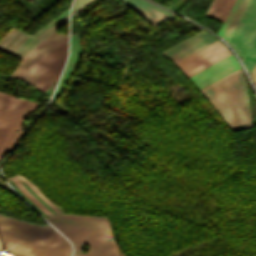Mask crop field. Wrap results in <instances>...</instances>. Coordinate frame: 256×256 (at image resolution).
<instances>
[{
    "mask_svg": "<svg viewBox=\"0 0 256 256\" xmlns=\"http://www.w3.org/2000/svg\"><path fill=\"white\" fill-rule=\"evenodd\" d=\"M47 220L73 242L75 251L81 252L83 245H90L87 254L73 256H123L105 217L61 215Z\"/></svg>",
    "mask_w": 256,
    "mask_h": 256,
    "instance_id": "8a807250",
    "label": "crop field"
},
{
    "mask_svg": "<svg viewBox=\"0 0 256 256\" xmlns=\"http://www.w3.org/2000/svg\"><path fill=\"white\" fill-rule=\"evenodd\" d=\"M231 131L253 127L240 70L200 90Z\"/></svg>",
    "mask_w": 256,
    "mask_h": 256,
    "instance_id": "ac0d7876",
    "label": "crop field"
},
{
    "mask_svg": "<svg viewBox=\"0 0 256 256\" xmlns=\"http://www.w3.org/2000/svg\"><path fill=\"white\" fill-rule=\"evenodd\" d=\"M38 106L36 102L0 93V160L22 135L19 127L25 115Z\"/></svg>",
    "mask_w": 256,
    "mask_h": 256,
    "instance_id": "34b2d1b8",
    "label": "crop field"
},
{
    "mask_svg": "<svg viewBox=\"0 0 256 256\" xmlns=\"http://www.w3.org/2000/svg\"><path fill=\"white\" fill-rule=\"evenodd\" d=\"M67 36L56 32L43 40L26 58L23 59L20 66L14 71L11 77L31 83L47 68L38 63L49 54L60 42Z\"/></svg>",
    "mask_w": 256,
    "mask_h": 256,
    "instance_id": "412701ff",
    "label": "crop field"
},
{
    "mask_svg": "<svg viewBox=\"0 0 256 256\" xmlns=\"http://www.w3.org/2000/svg\"><path fill=\"white\" fill-rule=\"evenodd\" d=\"M229 54L231 53L217 41L175 64L188 78Z\"/></svg>",
    "mask_w": 256,
    "mask_h": 256,
    "instance_id": "f4fd0767",
    "label": "crop field"
},
{
    "mask_svg": "<svg viewBox=\"0 0 256 256\" xmlns=\"http://www.w3.org/2000/svg\"><path fill=\"white\" fill-rule=\"evenodd\" d=\"M255 36L256 0H251L228 42L243 59Z\"/></svg>",
    "mask_w": 256,
    "mask_h": 256,
    "instance_id": "dd49c442",
    "label": "crop field"
},
{
    "mask_svg": "<svg viewBox=\"0 0 256 256\" xmlns=\"http://www.w3.org/2000/svg\"><path fill=\"white\" fill-rule=\"evenodd\" d=\"M238 68L231 54L188 79L200 90Z\"/></svg>",
    "mask_w": 256,
    "mask_h": 256,
    "instance_id": "e52e79f7",
    "label": "crop field"
},
{
    "mask_svg": "<svg viewBox=\"0 0 256 256\" xmlns=\"http://www.w3.org/2000/svg\"><path fill=\"white\" fill-rule=\"evenodd\" d=\"M67 53V38L59 44L47 57L41 62L49 65L50 67L39 76L33 83L46 89L54 81L58 79L59 73L64 65ZM61 74V73H60Z\"/></svg>",
    "mask_w": 256,
    "mask_h": 256,
    "instance_id": "d8731c3e",
    "label": "crop field"
},
{
    "mask_svg": "<svg viewBox=\"0 0 256 256\" xmlns=\"http://www.w3.org/2000/svg\"><path fill=\"white\" fill-rule=\"evenodd\" d=\"M10 184L42 216L57 210L27 181L22 178L10 181Z\"/></svg>",
    "mask_w": 256,
    "mask_h": 256,
    "instance_id": "5a996713",
    "label": "crop field"
},
{
    "mask_svg": "<svg viewBox=\"0 0 256 256\" xmlns=\"http://www.w3.org/2000/svg\"><path fill=\"white\" fill-rule=\"evenodd\" d=\"M215 41L217 40L201 31L161 54L175 63Z\"/></svg>",
    "mask_w": 256,
    "mask_h": 256,
    "instance_id": "3316defc",
    "label": "crop field"
},
{
    "mask_svg": "<svg viewBox=\"0 0 256 256\" xmlns=\"http://www.w3.org/2000/svg\"><path fill=\"white\" fill-rule=\"evenodd\" d=\"M154 26L172 18L173 14L152 6L143 0H121Z\"/></svg>",
    "mask_w": 256,
    "mask_h": 256,
    "instance_id": "28ad6ade",
    "label": "crop field"
},
{
    "mask_svg": "<svg viewBox=\"0 0 256 256\" xmlns=\"http://www.w3.org/2000/svg\"><path fill=\"white\" fill-rule=\"evenodd\" d=\"M68 10H65L62 14H60L55 20L49 23L46 27H44L39 32L35 33L33 36L27 35L11 52L10 54L17 56L23 59L26 55H28L42 40L37 37L57 23L59 20L68 15Z\"/></svg>",
    "mask_w": 256,
    "mask_h": 256,
    "instance_id": "d1516ede",
    "label": "crop field"
},
{
    "mask_svg": "<svg viewBox=\"0 0 256 256\" xmlns=\"http://www.w3.org/2000/svg\"><path fill=\"white\" fill-rule=\"evenodd\" d=\"M250 0H236L234 6L232 7L229 15L227 16L225 22L220 28L218 34H220L227 41L233 32L236 24L238 23L241 15L243 14L245 8L247 7Z\"/></svg>",
    "mask_w": 256,
    "mask_h": 256,
    "instance_id": "22f410ed",
    "label": "crop field"
},
{
    "mask_svg": "<svg viewBox=\"0 0 256 256\" xmlns=\"http://www.w3.org/2000/svg\"><path fill=\"white\" fill-rule=\"evenodd\" d=\"M235 0H213L206 15L224 22Z\"/></svg>",
    "mask_w": 256,
    "mask_h": 256,
    "instance_id": "cbeb9de0",
    "label": "crop field"
},
{
    "mask_svg": "<svg viewBox=\"0 0 256 256\" xmlns=\"http://www.w3.org/2000/svg\"><path fill=\"white\" fill-rule=\"evenodd\" d=\"M243 60L252 74L256 66V37Z\"/></svg>",
    "mask_w": 256,
    "mask_h": 256,
    "instance_id": "5142ce71",
    "label": "crop field"
},
{
    "mask_svg": "<svg viewBox=\"0 0 256 256\" xmlns=\"http://www.w3.org/2000/svg\"><path fill=\"white\" fill-rule=\"evenodd\" d=\"M92 0H75L73 3V16L78 15Z\"/></svg>",
    "mask_w": 256,
    "mask_h": 256,
    "instance_id": "d9b57169",
    "label": "crop field"
},
{
    "mask_svg": "<svg viewBox=\"0 0 256 256\" xmlns=\"http://www.w3.org/2000/svg\"><path fill=\"white\" fill-rule=\"evenodd\" d=\"M19 30L12 28L0 39V49L5 46L17 33Z\"/></svg>",
    "mask_w": 256,
    "mask_h": 256,
    "instance_id": "733c2abd",
    "label": "crop field"
},
{
    "mask_svg": "<svg viewBox=\"0 0 256 256\" xmlns=\"http://www.w3.org/2000/svg\"><path fill=\"white\" fill-rule=\"evenodd\" d=\"M67 21H68V16H66L64 19L59 21L57 24H55L53 27H51L49 30H47L45 33H43L38 38L43 40L44 38H46L48 35H50L52 32H54L56 29H58L61 25H63Z\"/></svg>",
    "mask_w": 256,
    "mask_h": 256,
    "instance_id": "4a817a6b",
    "label": "crop field"
},
{
    "mask_svg": "<svg viewBox=\"0 0 256 256\" xmlns=\"http://www.w3.org/2000/svg\"><path fill=\"white\" fill-rule=\"evenodd\" d=\"M252 76H253V79H254V81H255V83H256V68H255V70H254Z\"/></svg>",
    "mask_w": 256,
    "mask_h": 256,
    "instance_id": "bc2a9ffb",
    "label": "crop field"
},
{
    "mask_svg": "<svg viewBox=\"0 0 256 256\" xmlns=\"http://www.w3.org/2000/svg\"><path fill=\"white\" fill-rule=\"evenodd\" d=\"M30 1H32V0H30Z\"/></svg>",
    "mask_w": 256,
    "mask_h": 256,
    "instance_id": "214f88e0",
    "label": "crop field"
}]
</instances>
